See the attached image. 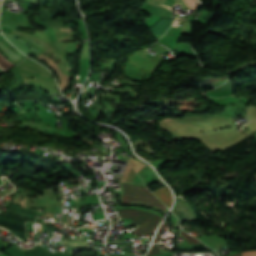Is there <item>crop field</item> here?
Masks as SVG:
<instances>
[{"mask_svg": "<svg viewBox=\"0 0 256 256\" xmlns=\"http://www.w3.org/2000/svg\"><path fill=\"white\" fill-rule=\"evenodd\" d=\"M5 250L12 256H72V254L49 252L40 244L34 246V249L30 250L20 251V248L15 245Z\"/></svg>", "mask_w": 256, "mask_h": 256, "instance_id": "obj_4", "label": "crop field"}, {"mask_svg": "<svg viewBox=\"0 0 256 256\" xmlns=\"http://www.w3.org/2000/svg\"><path fill=\"white\" fill-rule=\"evenodd\" d=\"M172 211L177 215L180 225L185 220H197L194 210L181 197L176 198L175 206Z\"/></svg>", "mask_w": 256, "mask_h": 256, "instance_id": "obj_5", "label": "crop field"}, {"mask_svg": "<svg viewBox=\"0 0 256 256\" xmlns=\"http://www.w3.org/2000/svg\"><path fill=\"white\" fill-rule=\"evenodd\" d=\"M158 254H160V250L158 248V245L155 244V245H152L149 253L146 256H155V255H158Z\"/></svg>", "mask_w": 256, "mask_h": 256, "instance_id": "obj_9", "label": "crop field"}, {"mask_svg": "<svg viewBox=\"0 0 256 256\" xmlns=\"http://www.w3.org/2000/svg\"><path fill=\"white\" fill-rule=\"evenodd\" d=\"M153 193L168 207L171 205L172 196L168 187H162L153 191Z\"/></svg>", "mask_w": 256, "mask_h": 256, "instance_id": "obj_6", "label": "crop field"}, {"mask_svg": "<svg viewBox=\"0 0 256 256\" xmlns=\"http://www.w3.org/2000/svg\"><path fill=\"white\" fill-rule=\"evenodd\" d=\"M181 233H182V235L186 238V241H187L188 244L200 243V241H198L197 239H195V238L189 236L188 234H186V233L183 232L182 230H181Z\"/></svg>", "mask_w": 256, "mask_h": 256, "instance_id": "obj_8", "label": "crop field"}, {"mask_svg": "<svg viewBox=\"0 0 256 256\" xmlns=\"http://www.w3.org/2000/svg\"><path fill=\"white\" fill-rule=\"evenodd\" d=\"M167 254H171V251L167 252V253H164L162 255H159V256H163V255H167ZM167 256H173L172 254L171 255H167Z\"/></svg>", "mask_w": 256, "mask_h": 256, "instance_id": "obj_12", "label": "crop field"}, {"mask_svg": "<svg viewBox=\"0 0 256 256\" xmlns=\"http://www.w3.org/2000/svg\"><path fill=\"white\" fill-rule=\"evenodd\" d=\"M123 189L126 193L122 196L124 202L140 201L155 207L168 210L146 187L123 184Z\"/></svg>", "mask_w": 256, "mask_h": 256, "instance_id": "obj_3", "label": "crop field"}, {"mask_svg": "<svg viewBox=\"0 0 256 256\" xmlns=\"http://www.w3.org/2000/svg\"><path fill=\"white\" fill-rule=\"evenodd\" d=\"M13 65H14L13 63L7 61L4 57H2L0 55V68L5 70V69H7V68H9V67H11Z\"/></svg>", "mask_w": 256, "mask_h": 256, "instance_id": "obj_7", "label": "crop field"}, {"mask_svg": "<svg viewBox=\"0 0 256 256\" xmlns=\"http://www.w3.org/2000/svg\"><path fill=\"white\" fill-rule=\"evenodd\" d=\"M243 256H256V251H249L242 253Z\"/></svg>", "mask_w": 256, "mask_h": 256, "instance_id": "obj_11", "label": "crop field"}, {"mask_svg": "<svg viewBox=\"0 0 256 256\" xmlns=\"http://www.w3.org/2000/svg\"><path fill=\"white\" fill-rule=\"evenodd\" d=\"M117 212L120 218H134L131 222L140 225L133 231L134 234H152L161 221L158 215L148 212L138 210H120Z\"/></svg>", "mask_w": 256, "mask_h": 256, "instance_id": "obj_2", "label": "crop field"}, {"mask_svg": "<svg viewBox=\"0 0 256 256\" xmlns=\"http://www.w3.org/2000/svg\"><path fill=\"white\" fill-rule=\"evenodd\" d=\"M231 256H240V254H235V255H231Z\"/></svg>", "mask_w": 256, "mask_h": 256, "instance_id": "obj_13", "label": "crop field"}, {"mask_svg": "<svg viewBox=\"0 0 256 256\" xmlns=\"http://www.w3.org/2000/svg\"><path fill=\"white\" fill-rule=\"evenodd\" d=\"M165 226H166V221L163 223V225H162L161 229L159 228L160 230H159V232L157 233V235H156V237H155V241H154V242H156V241H158V240H159V238H160V236H161V234H162V232H163V230H164Z\"/></svg>", "mask_w": 256, "mask_h": 256, "instance_id": "obj_10", "label": "crop field"}, {"mask_svg": "<svg viewBox=\"0 0 256 256\" xmlns=\"http://www.w3.org/2000/svg\"><path fill=\"white\" fill-rule=\"evenodd\" d=\"M37 212L22 208L14 203L5 214L0 213V226L6 228L22 241L27 242L25 221H35Z\"/></svg>", "mask_w": 256, "mask_h": 256, "instance_id": "obj_1", "label": "crop field"}]
</instances>
